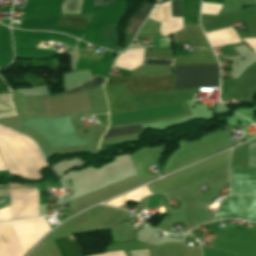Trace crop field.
I'll return each instance as SVG.
<instances>
[{"mask_svg":"<svg viewBox=\"0 0 256 256\" xmlns=\"http://www.w3.org/2000/svg\"><path fill=\"white\" fill-rule=\"evenodd\" d=\"M165 1H167V0H157V4H161V3L165 2Z\"/></svg>","mask_w":256,"mask_h":256,"instance_id":"obj_21","label":"crop field"},{"mask_svg":"<svg viewBox=\"0 0 256 256\" xmlns=\"http://www.w3.org/2000/svg\"><path fill=\"white\" fill-rule=\"evenodd\" d=\"M84 21L85 20H83V19H77V18L63 16L60 24L82 28Z\"/></svg>","mask_w":256,"mask_h":256,"instance_id":"obj_16","label":"crop field"},{"mask_svg":"<svg viewBox=\"0 0 256 256\" xmlns=\"http://www.w3.org/2000/svg\"><path fill=\"white\" fill-rule=\"evenodd\" d=\"M4 170H6V168H5L3 162H2V160L0 158V171H4Z\"/></svg>","mask_w":256,"mask_h":256,"instance_id":"obj_20","label":"crop field"},{"mask_svg":"<svg viewBox=\"0 0 256 256\" xmlns=\"http://www.w3.org/2000/svg\"><path fill=\"white\" fill-rule=\"evenodd\" d=\"M16 115L12 92L0 94V119Z\"/></svg>","mask_w":256,"mask_h":256,"instance_id":"obj_11","label":"crop field"},{"mask_svg":"<svg viewBox=\"0 0 256 256\" xmlns=\"http://www.w3.org/2000/svg\"><path fill=\"white\" fill-rule=\"evenodd\" d=\"M153 8V5L143 3L141 9L138 11L136 16H133L128 24V31L133 38L134 34L136 33L139 26L142 24L143 21H145L150 9Z\"/></svg>","mask_w":256,"mask_h":256,"instance_id":"obj_10","label":"crop field"},{"mask_svg":"<svg viewBox=\"0 0 256 256\" xmlns=\"http://www.w3.org/2000/svg\"><path fill=\"white\" fill-rule=\"evenodd\" d=\"M238 218L256 222V197L232 195L219 204L218 219Z\"/></svg>","mask_w":256,"mask_h":256,"instance_id":"obj_5","label":"crop field"},{"mask_svg":"<svg viewBox=\"0 0 256 256\" xmlns=\"http://www.w3.org/2000/svg\"><path fill=\"white\" fill-rule=\"evenodd\" d=\"M0 155L9 173L26 177H38L35 171L46 165L33 141L1 126Z\"/></svg>","mask_w":256,"mask_h":256,"instance_id":"obj_1","label":"crop field"},{"mask_svg":"<svg viewBox=\"0 0 256 256\" xmlns=\"http://www.w3.org/2000/svg\"><path fill=\"white\" fill-rule=\"evenodd\" d=\"M256 167V141L248 143L247 168Z\"/></svg>","mask_w":256,"mask_h":256,"instance_id":"obj_14","label":"crop field"},{"mask_svg":"<svg viewBox=\"0 0 256 256\" xmlns=\"http://www.w3.org/2000/svg\"><path fill=\"white\" fill-rule=\"evenodd\" d=\"M12 91L10 86L5 82V80L0 76V93Z\"/></svg>","mask_w":256,"mask_h":256,"instance_id":"obj_18","label":"crop field"},{"mask_svg":"<svg viewBox=\"0 0 256 256\" xmlns=\"http://www.w3.org/2000/svg\"><path fill=\"white\" fill-rule=\"evenodd\" d=\"M231 194H245L256 196V168L229 169Z\"/></svg>","mask_w":256,"mask_h":256,"instance_id":"obj_6","label":"crop field"},{"mask_svg":"<svg viewBox=\"0 0 256 256\" xmlns=\"http://www.w3.org/2000/svg\"><path fill=\"white\" fill-rule=\"evenodd\" d=\"M141 128L106 133L101 141L140 135Z\"/></svg>","mask_w":256,"mask_h":256,"instance_id":"obj_12","label":"crop field"},{"mask_svg":"<svg viewBox=\"0 0 256 256\" xmlns=\"http://www.w3.org/2000/svg\"><path fill=\"white\" fill-rule=\"evenodd\" d=\"M173 75L163 76H143L108 79L107 85L123 83L128 94L153 92V91H172Z\"/></svg>","mask_w":256,"mask_h":256,"instance_id":"obj_4","label":"crop field"},{"mask_svg":"<svg viewBox=\"0 0 256 256\" xmlns=\"http://www.w3.org/2000/svg\"><path fill=\"white\" fill-rule=\"evenodd\" d=\"M217 64L176 65L174 89L217 87Z\"/></svg>","mask_w":256,"mask_h":256,"instance_id":"obj_2","label":"crop field"},{"mask_svg":"<svg viewBox=\"0 0 256 256\" xmlns=\"http://www.w3.org/2000/svg\"><path fill=\"white\" fill-rule=\"evenodd\" d=\"M172 16L182 17L181 0L171 1Z\"/></svg>","mask_w":256,"mask_h":256,"instance_id":"obj_17","label":"crop field"},{"mask_svg":"<svg viewBox=\"0 0 256 256\" xmlns=\"http://www.w3.org/2000/svg\"><path fill=\"white\" fill-rule=\"evenodd\" d=\"M61 256H83L74 236L53 239Z\"/></svg>","mask_w":256,"mask_h":256,"instance_id":"obj_9","label":"crop field"},{"mask_svg":"<svg viewBox=\"0 0 256 256\" xmlns=\"http://www.w3.org/2000/svg\"><path fill=\"white\" fill-rule=\"evenodd\" d=\"M11 206L0 210V221L39 216L36 189L9 190Z\"/></svg>","mask_w":256,"mask_h":256,"instance_id":"obj_3","label":"crop field"},{"mask_svg":"<svg viewBox=\"0 0 256 256\" xmlns=\"http://www.w3.org/2000/svg\"><path fill=\"white\" fill-rule=\"evenodd\" d=\"M82 0H64L61 5L62 13H80Z\"/></svg>","mask_w":256,"mask_h":256,"instance_id":"obj_13","label":"crop field"},{"mask_svg":"<svg viewBox=\"0 0 256 256\" xmlns=\"http://www.w3.org/2000/svg\"><path fill=\"white\" fill-rule=\"evenodd\" d=\"M113 1H115V0H94V5H106Z\"/></svg>","mask_w":256,"mask_h":256,"instance_id":"obj_19","label":"crop field"},{"mask_svg":"<svg viewBox=\"0 0 256 256\" xmlns=\"http://www.w3.org/2000/svg\"><path fill=\"white\" fill-rule=\"evenodd\" d=\"M10 195L7 186L0 185V208L9 205Z\"/></svg>","mask_w":256,"mask_h":256,"instance_id":"obj_15","label":"crop field"},{"mask_svg":"<svg viewBox=\"0 0 256 256\" xmlns=\"http://www.w3.org/2000/svg\"><path fill=\"white\" fill-rule=\"evenodd\" d=\"M149 17L162 22L160 33L163 37L182 29V18L171 17L170 1L154 7Z\"/></svg>","mask_w":256,"mask_h":256,"instance_id":"obj_7","label":"crop field"},{"mask_svg":"<svg viewBox=\"0 0 256 256\" xmlns=\"http://www.w3.org/2000/svg\"><path fill=\"white\" fill-rule=\"evenodd\" d=\"M110 113L132 110L122 85L105 88Z\"/></svg>","mask_w":256,"mask_h":256,"instance_id":"obj_8","label":"crop field"}]
</instances>
